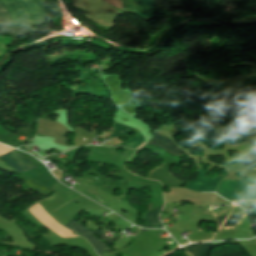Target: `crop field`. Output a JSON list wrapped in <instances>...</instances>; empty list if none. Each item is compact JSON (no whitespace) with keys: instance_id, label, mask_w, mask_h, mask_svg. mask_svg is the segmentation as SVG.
I'll return each instance as SVG.
<instances>
[{"instance_id":"dd49c442","label":"crop field","mask_w":256,"mask_h":256,"mask_svg":"<svg viewBox=\"0 0 256 256\" xmlns=\"http://www.w3.org/2000/svg\"><path fill=\"white\" fill-rule=\"evenodd\" d=\"M154 135H155V137L152 139L150 144H152L154 146H158V147L162 148L164 151H166L170 154H173L175 156H179L185 152L182 149H180L177 145H175L171 141L170 138H168L162 134H159L157 132H154Z\"/></svg>"},{"instance_id":"d8731c3e","label":"crop field","mask_w":256,"mask_h":256,"mask_svg":"<svg viewBox=\"0 0 256 256\" xmlns=\"http://www.w3.org/2000/svg\"><path fill=\"white\" fill-rule=\"evenodd\" d=\"M140 6L155 4L153 0H135ZM134 0H122L123 9L126 12L136 13L140 11L139 5Z\"/></svg>"},{"instance_id":"34b2d1b8","label":"crop field","mask_w":256,"mask_h":256,"mask_svg":"<svg viewBox=\"0 0 256 256\" xmlns=\"http://www.w3.org/2000/svg\"><path fill=\"white\" fill-rule=\"evenodd\" d=\"M197 171L199 173L198 177L194 181L187 183L184 189L197 191V192L215 191L217 185L225 177V176L219 175L217 177L210 178L205 175L208 171L201 170V169H198Z\"/></svg>"},{"instance_id":"412701ff","label":"crop field","mask_w":256,"mask_h":256,"mask_svg":"<svg viewBox=\"0 0 256 256\" xmlns=\"http://www.w3.org/2000/svg\"><path fill=\"white\" fill-rule=\"evenodd\" d=\"M65 227L70 228L71 230L85 237L93 246V248L95 249L98 255L101 256L104 251H109L108 247L105 244H103L101 241H99L97 238L93 236L94 233L82 227L74 220L68 223L67 225H65Z\"/></svg>"},{"instance_id":"22f410ed","label":"crop field","mask_w":256,"mask_h":256,"mask_svg":"<svg viewBox=\"0 0 256 256\" xmlns=\"http://www.w3.org/2000/svg\"><path fill=\"white\" fill-rule=\"evenodd\" d=\"M242 161L244 166H256V150L248 153Z\"/></svg>"},{"instance_id":"5a996713","label":"crop field","mask_w":256,"mask_h":256,"mask_svg":"<svg viewBox=\"0 0 256 256\" xmlns=\"http://www.w3.org/2000/svg\"><path fill=\"white\" fill-rule=\"evenodd\" d=\"M210 248L211 243L193 244L184 247V249L192 253L193 256H208Z\"/></svg>"},{"instance_id":"cbeb9de0","label":"crop field","mask_w":256,"mask_h":256,"mask_svg":"<svg viewBox=\"0 0 256 256\" xmlns=\"http://www.w3.org/2000/svg\"><path fill=\"white\" fill-rule=\"evenodd\" d=\"M12 150L11 148H8L6 146L0 145V155Z\"/></svg>"},{"instance_id":"28ad6ade","label":"crop field","mask_w":256,"mask_h":256,"mask_svg":"<svg viewBox=\"0 0 256 256\" xmlns=\"http://www.w3.org/2000/svg\"><path fill=\"white\" fill-rule=\"evenodd\" d=\"M240 215H233L231 217H217L219 227L235 226L239 220Z\"/></svg>"},{"instance_id":"d1516ede","label":"crop field","mask_w":256,"mask_h":256,"mask_svg":"<svg viewBox=\"0 0 256 256\" xmlns=\"http://www.w3.org/2000/svg\"><path fill=\"white\" fill-rule=\"evenodd\" d=\"M133 129L127 127V126H123V125H120V124H114V127H113V132L112 134L110 135V137H119V136H124L130 132H132Z\"/></svg>"},{"instance_id":"e52e79f7","label":"crop field","mask_w":256,"mask_h":256,"mask_svg":"<svg viewBox=\"0 0 256 256\" xmlns=\"http://www.w3.org/2000/svg\"><path fill=\"white\" fill-rule=\"evenodd\" d=\"M162 206L163 205L156 207L142 215L141 219H145L147 221V225L144 227H146V228H163L160 220L158 219V215L162 209Z\"/></svg>"},{"instance_id":"8a807250","label":"crop field","mask_w":256,"mask_h":256,"mask_svg":"<svg viewBox=\"0 0 256 256\" xmlns=\"http://www.w3.org/2000/svg\"><path fill=\"white\" fill-rule=\"evenodd\" d=\"M10 12L14 26H37L44 23L42 12L32 0H0ZM0 5V26H13L9 12Z\"/></svg>"},{"instance_id":"ac0d7876","label":"crop field","mask_w":256,"mask_h":256,"mask_svg":"<svg viewBox=\"0 0 256 256\" xmlns=\"http://www.w3.org/2000/svg\"><path fill=\"white\" fill-rule=\"evenodd\" d=\"M216 193L230 201L256 199V177L242 176L241 180L225 179Z\"/></svg>"},{"instance_id":"f4fd0767","label":"crop field","mask_w":256,"mask_h":256,"mask_svg":"<svg viewBox=\"0 0 256 256\" xmlns=\"http://www.w3.org/2000/svg\"><path fill=\"white\" fill-rule=\"evenodd\" d=\"M6 163L14 167L20 173L36 168L33 164L23 158L15 151H10L0 156Z\"/></svg>"},{"instance_id":"3316defc","label":"crop field","mask_w":256,"mask_h":256,"mask_svg":"<svg viewBox=\"0 0 256 256\" xmlns=\"http://www.w3.org/2000/svg\"><path fill=\"white\" fill-rule=\"evenodd\" d=\"M138 133L136 134V136L134 138H132V140L125 141V142H123L119 145H122V146H125V147H128V148H139V147H141L142 145H144V140H143L144 137L139 133L142 136V138H143L142 139ZM119 145H114V146H119Z\"/></svg>"},{"instance_id":"5142ce71","label":"crop field","mask_w":256,"mask_h":256,"mask_svg":"<svg viewBox=\"0 0 256 256\" xmlns=\"http://www.w3.org/2000/svg\"><path fill=\"white\" fill-rule=\"evenodd\" d=\"M145 231H147V230H143V229H140V231L138 232V234H137V237H139L141 234H143Z\"/></svg>"}]
</instances>
